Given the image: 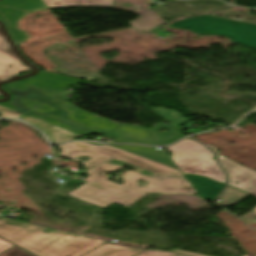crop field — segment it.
Wrapping results in <instances>:
<instances>
[{
  "instance_id": "crop-field-19",
  "label": "crop field",
  "mask_w": 256,
  "mask_h": 256,
  "mask_svg": "<svg viewBox=\"0 0 256 256\" xmlns=\"http://www.w3.org/2000/svg\"><path fill=\"white\" fill-rule=\"evenodd\" d=\"M0 256H33V255L15 246L12 249L8 250L7 252L1 254Z\"/></svg>"
},
{
  "instance_id": "crop-field-8",
  "label": "crop field",
  "mask_w": 256,
  "mask_h": 256,
  "mask_svg": "<svg viewBox=\"0 0 256 256\" xmlns=\"http://www.w3.org/2000/svg\"><path fill=\"white\" fill-rule=\"evenodd\" d=\"M220 158L221 164L230 176V186L247 191L256 197V171L240 166L224 157H222L216 148L210 146ZM240 182L239 185L234 182Z\"/></svg>"
},
{
  "instance_id": "crop-field-2",
  "label": "crop field",
  "mask_w": 256,
  "mask_h": 256,
  "mask_svg": "<svg viewBox=\"0 0 256 256\" xmlns=\"http://www.w3.org/2000/svg\"><path fill=\"white\" fill-rule=\"evenodd\" d=\"M47 229L0 219L1 237L38 256H134L144 250L54 229H49L51 233H45Z\"/></svg>"
},
{
  "instance_id": "crop-field-24",
  "label": "crop field",
  "mask_w": 256,
  "mask_h": 256,
  "mask_svg": "<svg viewBox=\"0 0 256 256\" xmlns=\"http://www.w3.org/2000/svg\"><path fill=\"white\" fill-rule=\"evenodd\" d=\"M170 251H174V252H178V253H182V254H186V255H191V256H205V255H200V254H196V253H192V252H188V251H184V250H179V249H173Z\"/></svg>"
},
{
  "instance_id": "crop-field-15",
  "label": "crop field",
  "mask_w": 256,
  "mask_h": 256,
  "mask_svg": "<svg viewBox=\"0 0 256 256\" xmlns=\"http://www.w3.org/2000/svg\"><path fill=\"white\" fill-rule=\"evenodd\" d=\"M133 13L138 14L142 17L130 22V25L132 28L138 29V30H144V31H149L158 25L166 22L162 19H160V16L156 14L155 12L144 9V8H139Z\"/></svg>"
},
{
  "instance_id": "crop-field-25",
  "label": "crop field",
  "mask_w": 256,
  "mask_h": 256,
  "mask_svg": "<svg viewBox=\"0 0 256 256\" xmlns=\"http://www.w3.org/2000/svg\"><path fill=\"white\" fill-rule=\"evenodd\" d=\"M255 211H256V208L254 209ZM255 214H256V212H255ZM256 222V221H255Z\"/></svg>"
},
{
  "instance_id": "crop-field-9",
  "label": "crop field",
  "mask_w": 256,
  "mask_h": 256,
  "mask_svg": "<svg viewBox=\"0 0 256 256\" xmlns=\"http://www.w3.org/2000/svg\"><path fill=\"white\" fill-rule=\"evenodd\" d=\"M153 110L158 115L164 117L165 120L171 122V125L166 126L165 124H158L161 125V127L155 125L152 129L148 130L159 145L173 143L178 139L184 137L183 135L177 133V129L179 125L187 122L188 120L183 118L181 114L177 113L176 111H168L164 108H153ZM162 127H168L171 132H158V130H160ZM153 132H155V134H152Z\"/></svg>"
},
{
  "instance_id": "crop-field-21",
  "label": "crop field",
  "mask_w": 256,
  "mask_h": 256,
  "mask_svg": "<svg viewBox=\"0 0 256 256\" xmlns=\"http://www.w3.org/2000/svg\"><path fill=\"white\" fill-rule=\"evenodd\" d=\"M138 256H177V254H173L165 251H146Z\"/></svg>"
},
{
  "instance_id": "crop-field-4",
  "label": "crop field",
  "mask_w": 256,
  "mask_h": 256,
  "mask_svg": "<svg viewBox=\"0 0 256 256\" xmlns=\"http://www.w3.org/2000/svg\"><path fill=\"white\" fill-rule=\"evenodd\" d=\"M78 82L80 80L43 72L30 79L10 84L7 88L13 94L11 103L31 109L65 90L67 85Z\"/></svg>"
},
{
  "instance_id": "crop-field-27",
  "label": "crop field",
  "mask_w": 256,
  "mask_h": 256,
  "mask_svg": "<svg viewBox=\"0 0 256 256\" xmlns=\"http://www.w3.org/2000/svg\"><path fill=\"white\" fill-rule=\"evenodd\" d=\"M1 218V217H0Z\"/></svg>"
},
{
  "instance_id": "crop-field-6",
  "label": "crop field",
  "mask_w": 256,
  "mask_h": 256,
  "mask_svg": "<svg viewBox=\"0 0 256 256\" xmlns=\"http://www.w3.org/2000/svg\"><path fill=\"white\" fill-rule=\"evenodd\" d=\"M33 111L95 133L107 134L120 125L84 112L57 97L44 103ZM83 116L88 119L83 118Z\"/></svg>"
},
{
  "instance_id": "crop-field-12",
  "label": "crop field",
  "mask_w": 256,
  "mask_h": 256,
  "mask_svg": "<svg viewBox=\"0 0 256 256\" xmlns=\"http://www.w3.org/2000/svg\"><path fill=\"white\" fill-rule=\"evenodd\" d=\"M186 179L196 189L201 198L213 201L225 185L209 179L186 175Z\"/></svg>"
},
{
  "instance_id": "crop-field-1",
  "label": "crop field",
  "mask_w": 256,
  "mask_h": 256,
  "mask_svg": "<svg viewBox=\"0 0 256 256\" xmlns=\"http://www.w3.org/2000/svg\"><path fill=\"white\" fill-rule=\"evenodd\" d=\"M64 152L59 154L77 159L78 156H89V160L83 162L89 177L84 180L86 184L69 193L68 195L88 201L102 208L114 203L129 207L139 201L147 193H197L179 170L161 165L159 163L126 153L124 151L101 145H93L85 142H71L57 146ZM83 150H86L83 152ZM125 161L135 166L148 170L145 175L127 171L123 173L124 184L119 185L108 181L107 173L117 171L124 166L107 163L110 160ZM138 179L148 182L147 188L138 187ZM157 185H154V184Z\"/></svg>"
},
{
  "instance_id": "crop-field-13",
  "label": "crop field",
  "mask_w": 256,
  "mask_h": 256,
  "mask_svg": "<svg viewBox=\"0 0 256 256\" xmlns=\"http://www.w3.org/2000/svg\"><path fill=\"white\" fill-rule=\"evenodd\" d=\"M21 119L37 126L38 128H40L42 131H44L48 135V138L53 143L64 142V141L71 140L75 137L81 136V135L66 131L64 129L55 127L53 125L47 124V123L45 125V122L34 119V118L29 117L27 115H25Z\"/></svg>"
},
{
  "instance_id": "crop-field-10",
  "label": "crop field",
  "mask_w": 256,
  "mask_h": 256,
  "mask_svg": "<svg viewBox=\"0 0 256 256\" xmlns=\"http://www.w3.org/2000/svg\"><path fill=\"white\" fill-rule=\"evenodd\" d=\"M12 64L13 67H7ZM23 63L14 55L5 38L0 31V81L7 80L9 77L17 75L19 72L30 71L26 66H20ZM10 79V78H9Z\"/></svg>"
},
{
  "instance_id": "crop-field-7",
  "label": "crop field",
  "mask_w": 256,
  "mask_h": 256,
  "mask_svg": "<svg viewBox=\"0 0 256 256\" xmlns=\"http://www.w3.org/2000/svg\"><path fill=\"white\" fill-rule=\"evenodd\" d=\"M47 9L41 0H3L0 2V20L3 21L16 46L29 39L26 31L18 28V21L27 11Z\"/></svg>"
},
{
  "instance_id": "crop-field-14",
  "label": "crop field",
  "mask_w": 256,
  "mask_h": 256,
  "mask_svg": "<svg viewBox=\"0 0 256 256\" xmlns=\"http://www.w3.org/2000/svg\"><path fill=\"white\" fill-rule=\"evenodd\" d=\"M115 147L176 168V166L173 164V162L170 160V158L166 155V153L163 150H156L155 148H150V147H140V146H130V145H118Z\"/></svg>"
},
{
  "instance_id": "crop-field-22",
  "label": "crop field",
  "mask_w": 256,
  "mask_h": 256,
  "mask_svg": "<svg viewBox=\"0 0 256 256\" xmlns=\"http://www.w3.org/2000/svg\"><path fill=\"white\" fill-rule=\"evenodd\" d=\"M0 105H2V106H4V107H7V108H10V109H13V110H16V111L21 112V113L27 111V110L24 109V108L14 106V105H12V104H10V103H0Z\"/></svg>"
},
{
  "instance_id": "crop-field-17",
  "label": "crop field",
  "mask_w": 256,
  "mask_h": 256,
  "mask_svg": "<svg viewBox=\"0 0 256 256\" xmlns=\"http://www.w3.org/2000/svg\"><path fill=\"white\" fill-rule=\"evenodd\" d=\"M249 194H246L240 190L227 186L225 191L221 194L220 202L217 204L220 206H231L242 200Z\"/></svg>"
},
{
  "instance_id": "crop-field-18",
  "label": "crop field",
  "mask_w": 256,
  "mask_h": 256,
  "mask_svg": "<svg viewBox=\"0 0 256 256\" xmlns=\"http://www.w3.org/2000/svg\"><path fill=\"white\" fill-rule=\"evenodd\" d=\"M27 115L32 116V117L37 118V119H40V120L45 121V122H47V123L56 125V126H58V127L67 129V130H69V131H72V132L81 134V135L90 134L89 132L83 131V130H81V129L75 128V127H73V126L67 125V124H65V123L59 122V121L54 120V119H51V118L44 117V116H42V115H40V114H37V113H35V112H32V111H30L29 113H27Z\"/></svg>"
},
{
  "instance_id": "crop-field-3",
  "label": "crop field",
  "mask_w": 256,
  "mask_h": 256,
  "mask_svg": "<svg viewBox=\"0 0 256 256\" xmlns=\"http://www.w3.org/2000/svg\"><path fill=\"white\" fill-rule=\"evenodd\" d=\"M168 28L193 30L200 35H222L256 49V25L253 24L206 15L181 20Z\"/></svg>"
},
{
  "instance_id": "crop-field-16",
  "label": "crop field",
  "mask_w": 256,
  "mask_h": 256,
  "mask_svg": "<svg viewBox=\"0 0 256 256\" xmlns=\"http://www.w3.org/2000/svg\"><path fill=\"white\" fill-rule=\"evenodd\" d=\"M42 1V0H41ZM48 8L68 7V6H111L113 0H43Z\"/></svg>"
},
{
  "instance_id": "crop-field-5",
  "label": "crop field",
  "mask_w": 256,
  "mask_h": 256,
  "mask_svg": "<svg viewBox=\"0 0 256 256\" xmlns=\"http://www.w3.org/2000/svg\"><path fill=\"white\" fill-rule=\"evenodd\" d=\"M172 161L184 174L192 173L226 182L224 173L213 160L214 155L202 144L189 138L167 148Z\"/></svg>"
},
{
  "instance_id": "crop-field-11",
  "label": "crop field",
  "mask_w": 256,
  "mask_h": 256,
  "mask_svg": "<svg viewBox=\"0 0 256 256\" xmlns=\"http://www.w3.org/2000/svg\"><path fill=\"white\" fill-rule=\"evenodd\" d=\"M107 135L114 137L118 142L158 145L146 128L135 125L122 124Z\"/></svg>"
},
{
  "instance_id": "crop-field-20",
  "label": "crop field",
  "mask_w": 256,
  "mask_h": 256,
  "mask_svg": "<svg viewBox=\"0 0 256 256\" xmlns=\"http://www.w3.org/2000/svg\"><path fill=\"white\" fill-rule=\"evenodd\" d=\"M0 115H1V117L15 119V118L21 116L22 114L0 106Z\"/></svg>"
},
{
  "instance_id": "crop-field-23",
  "label": "crop field",
  "mask_w": 256,
  "mask_h": 256,
  "mask_svg": "<svg viewBox=\"0 0 256 256\" xmlns=\"http://www.w3.org/2000/svg\"><path fill=\"white\" fill-rule=\"evenodd\" d=\"M12 246H14V245L0 239V253L5 251L6 249L12 247Z\"/></svg>"
},
{
  "instance_id": "crop-field-26",
  "label": "crop field",
  "mask_w": 256,
  "mask_h": 256,
  "mask_svg": "<svg viewBox=\"0 0 256 256\" xmlns=\"http://www.w3.org/2000/svg\"><path fill=\"white\" fill-rule=\"evenodd\" d=\"M179 256H182V255H179Z\"/></svg>"
}]
</instances>
